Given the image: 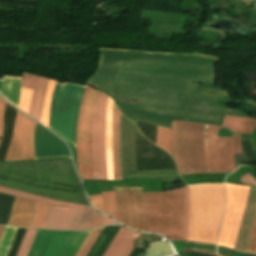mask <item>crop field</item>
<instances>
[{"label":"crop field","mask_w":256,"mask_h":256,"mask_svg":"<svg viewBox=\"0 0 256 256\" xmlns=\"http://www.w3.org/2000/svg\"><path fill=\"white\" fill-rule=\"evenodd\" d=\"M96 73L86 82L113 95L128 119L170 127V118L221 125L225 115L248 117L215 102H229L227 91L213 87L215 57L101 48ZM202 62V71L200 63ZM206 86L189 82H200ZM208 91L223 95L195 92ZM117 96L143 99L141 105L117 102Z\"/></svg>","instance_id":"obj_1"},{"label":"crop field","mask_w":256,"mask_h":256,"mask_svg":"<svg viewBox=\"0 0 256 256\" xmlns=\"http://www.w3.org/2000/svg\"><path fill=\"white\" fill-rule=\"evenodd\" d=\"M98 92L87 85L78 116L76 148L78 169L82 180L91 179L90 121ZM107 98L106 94L99 92L93 110L91 122L92 179L106 180L105 109ZM112 104L113 101L109 97L106 109V158L107 179L109 180H114L111 139Z\"/></svg>","instance_id":"obj_2"},{"label":"crop field","mask_w":256,"mask_h":256,"mask_svg":"<svg viewBox=\"0 0 256 256\" xmlns=\"http://www.w3.org/2000/svg\"><path fill=\"white\" fill-rule=\"evenodd\" d=\"M8 172H15L28 176L34 180L50 181L54 183L65 184L69 186L81 187L78 179L72 169L71 160H55L44 162H21V163H5L0 164V177L25 181L30 184L42 185L45 187L78 190L77 188H69L51 183L34 182L22 176H16ZM0 186L43 195L50 198L84 203L87 204L82 190L78 192H61L45 188L34 187L21 182L0 179Z\"/></svg>","instance_id":"obj_3"},{"label":"crop field","mask_w":256,"mask_h":256,"mask_svg":"<svg viewBox=\"0 0 256 256\" xmlns=\"http://www.w3.org/2000/svg\"><path fill=\"white\" fill-rule=\"evenodd\" d=\"M188 241L216 244L224 208V185L189 186Z\"/></svg>","instance_id":"obj_4"},{"label":"crop field","mask_w":256,"mask_h":256,"mask_svg":"<svg viewBox=\"0 0 256 256\" xmlns=\"http://www.w3.org/2000/svg\"><path fill=\"white\" fill-rule=\"evenodd\" d=\"M256 119L226 116L221 127L233 132L252 134ZM220 127H204V142L209 173L234 171L236 169L233 153L242 152L240 134L233 133L232 138L217 137Z\"/></svg>","instance_id":"obj_5"},{"label":"crop field","mask_w":256,"mask_h":256,"mask_svg":"<svg viewBox=\"0 0 256 256\" xmlns=\"http://www.w3.org/2000/svg\"><path fill=\"white\" fill-rule=\"evenodd\" d=\"M148 214V231L182 240L185 213L184 187L169 192H143Z\"/></svg>","instance_id":"obj_6"},{"label":"crop field","mask_w":256,"mask_h":256,"mask_svg":"<svg viewBox=\"0 0 256 256\" xmlns=\"http://www.w3.org/2000/svg\"><path fill=\"white\" fill-rule=\"evenodd\" d=\"M204 124L172 120L171 141L180 175L208 173L203 143Z\"/></svg>","instance_id":"obj_7"},{"label":"crop field","mask_w":256,"mask_h":256,"mask_svg":"<svg viewBox=\"0 0 256 256\" xmlns=\"http://www.w3.org/2000/svg\"><path fill=\"white\" fill-rule=\"evenodd\" d=\"M85 86L67 81L57 82L53 92L49 129L70 146H75L77 116Z\"/></svg>","instance_id":"obj_8"},{"label":"crop field","mask_w":256,"mask_h":256,"mask_svg":"<svg viewBox=\"0 0 256 256\" xmlns=\"http://www.w3.org/2000/svg\"><path fill=\"white\" fill-rule=\"evenodd\" d=\"M0 192L23 197L35 201L51 204L66 205L71 207L49 206L44 228L63 230H86L90 229L92 208L86 205L74 204L64 201L48 199L32 194H27L7 188L0 187Z\"/></svg>","instance_id":"obj_9"},{"label":"crop field","mask_w":256,"mask_h":256,"mask_svg":"<svg viewBox=\"0 0 256 256\" xmlns=\"http://www.w3.org/2000/svg\"><path fill=\"white\" fill-rule=\"evenodd\" d=\"M89 232L38 230L28 256H75Z\"/></svg>","instance_id":"obj_10"},{"label":"crop field","mask_w":256,"mask_h":256,"mask_svg":"<svg viewBox=\"0 0 256 256\" xmlns=\"http://www.w3.org/2000/svg\"><path fill=\"white\" fill-rule=\"evenodd\" d=\"M116 190V220L135 231H147L142 187H112Z\"/></svg>","instance_id":"obj_11"},{"label":"crop field","mask_w":256,"mask_h":256,"mask_svg":"<svg viewBox=\"0 0 256 256\" xmlns=\"http://www.w3.org/2000/svg\"><path fill=\"white\" fill-rule=\"evenodd\" d=\"M136 127L121 116L120 128V159L121 172L136 171L135 156ZM123 180L145 178H173L179 177L177 170L147 171L122 173Z\"/></svg>","instance_id":"obj_12"},{"label":"crop field","mask_w":256,"mask_h":256,"mask_svg":"<svg viewBox=\"0 0 256 256\" xmlns=\"http://www.w3.org/2000/svg\"><path fill=\"white\" fill-rule=\"evenodd\" d=\"M249 187L226 183V208L218 244L234 247Z\"/></svg>","instance_id":"obj_13"},{"label":"crop field","mask_w":256,"mask_h":256,"mask_svg":"<svg viewBox=\"0 0 256 256\" xmlns=\"http://www.w3.org/2000/svg\"><path fill=\"white\" fill-rule=\"evenodd\" d=\"M36 122L17 112L5 161L35 159L34 131Z\"/></svg>","instance_id":"obj_14"},{"label":"crop field","mask_w":256,"mask_h":256,"mask_svg":"<svg viewBox=\"0 0 256 256\" xmlns=\"http://www.w3.org/2000/svg\"><path fill=\"white\" fill-rule=\"evenodd\" d=\"M36 159L70 158L68 147L39 124L35 132Z\"/></svg>","instance_id":"obj_15"},{"label":"crop field","mask_w":256,"mask_h":256,"mask_svg":"<svg viewBox=\"0 0 256 256\" xmlns=\"http://www.w3.org/2000/svg\"><path fill=\"white\" fill-rule=\"evenodd\" d=\"M35 204V201L16 197L7 225L29 227Z\"/></svg>","instance_id":"obj_16"},{"label":"crop field","mask_w":256,"mask_h":256,"mask_svg":"<svg viewBox=\"0 0 256 256\" xmlns=\"http://www.w3.org/2000/svg\"><path fill=\"white\" fill-rule=\"evenodd\" d=\"M121 227L103 256H128L133 249L134 240L141 234L129 232Z\"/></svg>","instance_id":"obj_17"},{"label":"crop field","mask_w":256,"mask_h":256,"mask_svg":"<svg viewBox=\"0 0 256 256\" xmlns=\"http://www.w3.org/2000/svg\"><path fill=\"white\" fill-rule=\"evenodd\" d=\"M21 78L3 76L0 80V94L12 105H18Z\"/></svg>","instance_id":"obj_18"},{"label":"crop field","mask_w":256,"mask_h":256,"mask_svg":"<svg viewBox=\"0 0 256 256\" xmlns=\"http://www.w3.org/2000/svg\"><path fill=\"white\" fill-rule=\"evenodd\" d=\"M17 110L12 108L7 103L5 104L4 108V134L2 141L0 143V161L5 160V156L7 153V149L9 146L11 133H12V127L14 122L15 113Z\"/></svg>","instance_id":"obj_19"},{"label":"crop field","mask_w":256,"mask_h":256,"mask_svg":"<svg viewBox=\"0 0 256 256\" xmlns=\"http://www.w3.org/2000/svg\"><path fill=\"white\" fill-rule=\"evenodd\" d=\"M120 112L114 104L113 108V162L115 180H122L119 163V123Z\"/></svg>","instance_id":"obj_20"},{"label":"crop field","mask_w":256,"mask_h":256,"mask_svg":"<svg viewBox=\"0 0 256 256\" xmlns=\"http://www.w3.org/2000/svg\"><path fill=\"white\" fill-rule=\"evenodd\" d=\"M40 78L41 77H39V76L30 75V74H26V73H24L22 76L21 87L33 89L31 104H30V108H29V112H28V115H30V116L33 115L37 87H38Z\"/></svg>","instance_id":"obj_21"},{"label":"crop field","mask_w":256,"mask_h":256,"mask_svg":"<svg viewBox=\"0 0 256 256\" xmlns=\"http://www.w3.org/2000/svg\"><path fill=\"white\" fill-rule=\"evenodd\" d=\"M55 81L49 80V84L47 87L46 95H45V100L42 108V113L39 122L48 127L49 124V113H50V100L52 96V91L55 86Z\"/></svg>","instance_id":"obj_22"},{"label":"crop field","mask_w":256,"mask_h":256,"mask_svg":"<svg viewBox=\"0 0 256 256\" xmlns=\"http://www.w3.org/2000/svg\"><path fill=\"white\" fill-rule=\"evenodd\" d=\"M17 228L5 227L0 240V256H6L15 238Z\"/></svg>","instance_id":"obj_23"},{"label":"crop field","mask_w":256,"mask_h":256,"mask_svg":"<svg viewBox=\"0 0 256 256\" xmlns=\"http://www.w3.org/2000/svg\"><path fill=\"white\" fill-rule=\"evenodd\" d=\"M13 196L0 193V224L6 225L13 202Z\"/></svg>","instance_id":"obj_24"},{"label":"crop field","mask_w":256,"mask_h":256,"mask_svg":"<svg viewBox=\"0 0 256 256\" xmlns=\"http://www.w3.org/2000/svg\"><path fill=\"white\" fill-rule=\"evenodd\" d=\"M49 204L37 202L31 227L43 228Z\"/></svg>","instance_id":"obj_25"},{"label":"crop field","mask_w":256,"mask_h":256,"mask_svg":"<svg viewBox=\"0 0 256 256\" xmlns=\"http://www.w3.org/2000/svg\"><path fill=\"white\" fill-rule=\"evenodd\" d=\"M102 209L115 219V191L102 193Z\"/></svg>","instance_id":"obj_26"},{"label":"crop field","mask_w":256,"mask_h":256,"mask_svg":"<svg viewBox=\"0 0 256 256\" xmlns=\"http://www.w3.org/2000/svg\"><path fill=\"white\" fill-rule=\"evenodd\" d=\"M157 146L166 150L172 155L171 141H170V129L159 127L157 129Z\"/></svg>","instance_id":"obj_27"},{"label":"crop field","mask_w":256,"mask_h":256,"mask_svg":"<svg viewBox=\"0 0 256 256\" xmlns=\"http://www.w3.org/2000/svg\"><path fill=\"white\" fill-rule=\"evenodd\" d=\"M47 78H41V81L39 83L38 93H37V99H36V105L34 110L33 118L36 120H39L40 112H41V105L43 101V97L45 94L46 86H47Z\"/></svg>","instance_id":"obj_28"},{"label":"crop field","mask_w":256,"mask_h":256,"mask_svg":"<svg viewBox=\"0 0 256 256\" xmlns=\"http://www.w3.org/2000/svg\"><path fill=\"white\" fill-rule=\"evenodd\" d=\"M102 229L103 227L91 230L76 256H86L87 252L93 245L94 241L96 240Z\"/></svg>","instance_id":"obj_29"},{"label":"crop field","mask_w":256,"mask_h":256,"mask_svg":"<svg viewBox=\"0 0 256 256\" xmlns=\"http://www.w3.org/2000/svg\"><path fill=\"white\" fill-rule=\"evenodd\" d=\"M37 230L27 229L17 256H27Z\"/></svg>","instance_id":"obj_30"},{"label":"crop field","mask_w":256,"mask_h":256,"mask_svg":"<svg viewBox=\"0 0 256 256\" xmlns=\"http://www.w3.org/2000/svg\"><path fill=\"white\" fill-rule=\"evenodd\" d=\"M31 93H32V90L21 88L18 109L22 110L25 113L28 112Z\"/></svg>","instance_id":"obj_31"},{"label":"crop field","mask_w":256,"mask_h":256,"mask_svg":"<svg viewBox=\"0 0 256 256\" xmlns=\"http://www.w3.org/2000/svg\"><path fill=\"white\" fill-rule=\"evenodd\" d=\"M245 252L256 253V216H255V220H254V225H253V229H252L250 242H249Z\"/></svg>","instance_id":"obj_32"},{"label":"crop field","mask_w":256,"mask_h":256,"mask_svg":"<svg viewBox=\"0 0 256 256\" xmlns=\"http://www.w3.org/2000/svg\"><path fill=\"white\" fill-rule=\"evenodd\" d=\"M185 196H186V214H185V222H184L183 240H187V231H188V213H189L188 186L185 187Z\"/></svg>","instance_id":"obj_33"},{"label":"crop field","mask_w":256,"mask_h":256,"mask_svg":"<svg viewBox=\"0 0 256 256\" xmlns=\"http://www.w3.org/2000/svg\"><path fill=\"white\" fill-rule=\"evenodd\" d=\"M89 200L91 204L98 210L102 211L101 209V195L89 196Z\"/></svg>","instance_id":"obj_34"},{"label":"crop field","mask_w":256,"mask_h":256,"mask_svg":"<svg viewBox=\"0 0 256 256\" xmlns=\"http://www.w3.org/2000/svg\"><path fill=\"white\" fill-rule=\"evenodd\" d=\"M101 220H102V215L96 211L93 213V220H92V228L100 227L101 226Z\"/></svg>","instance_id":"obj_35"},{"label":"crop field","mask_w":256,"mask_h":256,"mask_svg":"<svg viewBox=\"0 0 256 256\" xmlns=\"http://www.w3.org/2000/svg\"><path fill=\"white\" fill-rule=\"evenodd\" d=\"M240 181L256 186V179L249 172L242 176Z\"/></svg>","instance_id":"obj_36"},{"label":"crop field","mask_w":256,"mask_h":256,"mask_svg":"<svg viewBox=\"0 0 256 256\" xmlns=\"http://www.w3.org/2000/svg\"><path fill=\"white\" fill-rule=\"evenodd\" d=\"M5 102L0 98V137H2V126H3V108Z\"/></svg>","instance_id":"obj_37"},{"label":"crop field","mask_w":256,"mask_h":256,"mask_svg":"<svg viewBox=\"0 0 256 256\" xmlns=\"http://www.w3.org/2000/svg\"><path fill=\"white\" fill-rule=\"evenodd\" d=\"M110 224H117V223L112 221L111 219L103 216L102 226L110 225Z\"/></svg>","instance_id":"obj_38"},{"label":"crop field","mask_w":256,"mask_h":256,"mask_svg":"<svg viewBox=\"0 0 256 256\" xmlns=\"http://www.w3.org/2000/svg\"><path fill=\"white\" fill-rule=\"evenodd\" d=\"M3 227L4 226H0V236H1V233H2V230H3Z\"/></svg>","instance_id":"obj_39"},{"label":"crop field","mask_w":256,"mask_h":256,"mask_svg":"<svg viewBox=\"0 0 256 256\" xmlns=\"http://www.w3.org/2000/svg\"><path fill=\"white\" fill-rule=\"evenodd\" d=\"M233 184H237V183H233ZM240 185H247V184H240ZM247 186H250V185H247ZM252 187H254V186H252ZM256 188V187H255Z\"/></svg>","instance_id":"obj_40"},{"label":"crop field","mask_w":256,"mask_h":256,"mask_svg":"<svg viewBox=\"0 0 256 256\" xmlns=\"http://www.w3.org/2000/svg\"><path fill=\"white\" fill-rule=\"evenodd\" d=\"M220 256V255H219Z\"/></svg>","instance_id":"obj_41"},{"label":"crop field","mask_w":256,"mask_h":256,"mask_svg":"<svg viewBox=\"0 0 256 256\" xmlns=\"http://www.w3.org/2000/svg\"><path fill=\"white\" fill-rule=\"evenodd\" d=\"M1 139V138H0Z\"/></svg>","instance_id":"obj_42"}]
</instances>
